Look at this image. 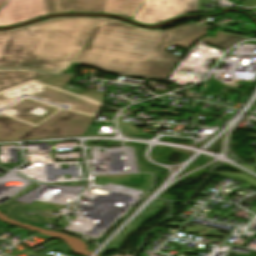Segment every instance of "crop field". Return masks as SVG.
I'll use <instances>...</instances> for the list:
<instances>
[{
    "label": "crop field",
    "instance_id": "crop-field-1",
    "mask_svg": "<svg viewBox=\"0 0 256 256\" xmlns=\"http://www.w3.org/2000/svg\"><path fill=\"white\" fill-rule=\"evenodd\" d=\"M210 29L189 23L168 31L112 18L62 17L0 31V69L63 74L72 62L107 73L165 80L180 56L168 45H190Z\"/></svg>",
    "mask_w": 256,
    "mask_h": 256
},
{
    "label": "crop field",
    "instance_id": "crop-field-2",
    "mask_svg": "<svg viewBox=\"0 0 256 256\" xmlns=\"http://www.w3.org/2000/svg\"><path fill=\"white\" fill-rule=\"evenodd\" d=\"M190 12H198L197 0H145L143 8L132 20L156 24Z\"/></svg>",
    "mask_w": 256,
    "mask_h": 256
},
{
    "label": "crop field",
    "instance_id": "crop-field-3",
    "mask_svg": "<svg viewBox=\"0 0 256 256\" xmlns=\"http://www.w3.org/2000/svg\"><path fill=\"white\" fill-rule=\"evenodd\" d=\"M45 14L46 0H6L0 10V26L16 24Z\"/></svg>",
    "mask_w": 256,
    "mask_h": 256
},
{
    "label": "crop field",
    "instance_id": "crop-field-4",
    "mask_svg": "<svg viewBox=\"0 0 256 256\" xmlns=\"http://www.w3.org/2000/svg\"><path fill=\"white\" fill-rule=\"evenodd\" d=\"M144 0H107L103 13L131 19L142 7Z\"/></svg>",
    "mask_w": 256,
    "mask_h": 256
},
{
    "label": "crop field",
    "instance_id": "crop-field-5",
    "mask_svg": "<svg viewBox=\"0 0 256 256\" xmlns=\"http://www.w3.org/2000/svg\"><path fill=\"white\" fill-rule=\"evenodd\" d=\"M44 74L29 70H0V89L23 83Z\"/></svg>",
    "mask_w": 256,
    "mask_h": 256
},
{
    "label": "crop field",
    "instance_id": "crop-field-6",
    "mask_svg": "<svg viewBox=\"0 0 256 256\" xmlns=\"http://www.w3.org/2000/svg\"><path fill=\"white\" fill-rule=\"evenodd\" d=\"M215 34H217V35L212 38L207 36L200 41L207 42L213 46L226 49L229 46L237 43L240 40H243L245 38H250L247 36L228 34V33L222 32V31H218Z\"/></svg>",
    "mask_w": 256,
    "mask_h": 256
},
{
    "label": "crop field",
    "instance_id": "crop-field-7",
    "mask_svg": "<svg viewBox=\"0 0 256 256\" xmlns=\"http://www.w3.org/2000/svg\"><path fill=\"white\" fill-rule=\"evenodd\" d=\"M106 0H70L71 12L101 13Z\"/></svg>",
    "mask_w": 256,
    "mask_h": 256
},
{
    "label": "crop field",
    "instance_id": "crop-field-8",
    "mask_svg": "<svg viewBox=\"0 0 256 256\" xmlns=\"http://www.w3.org/2000/svg\"><path fill=\"white\" fill-rule=\"evenodd\" d=\"M48 14L70 12L69 0H47Z\"/></svg>",
    "mask_w": 256,
    "mask_h": 256
},
{
    "label": "crop field",
    "instance_id": "crop-field-9",
    "mask_svg": "<svg viewBox=\"0 0 256 256\" xmlns=\"http://www.w3.org/2000/svg\"><path fill=\"white\" fill-rule=\"evenodd\" d=\"M242 6L245 7H254L256 6V0H244Z\"/></svg>",
    "mask_w": 256,
    "mask_h": 256
},
{
    "label": "crop field",
    "instance_id": "crop-field-10",
    "mask_svg": "<svg viewBox=\"0 0 256 256\" xmlns=\"http://www.w3.org/2000/svg\"><path fill=\"white\" fill-rule=\"evenodd\" d=\"M5 0H0V6L4 3Z\"/></svg>",
    "mask_w": 256,
    "mask_h": 256
},
{
    "label": "crop field",
    "instance_id": "crop-field-11",
    "mask_svg": "<svg viewBox=\"0 0 256 256\" xmlns=\"http://www.w3.org/2000/svg\"><path fill=\"white\" fill-rule=\"evenodd\" d=\"M179 46H183V45H179ZM185 47V49L188 47V46H184Z\"/></svg>",
    "mask_w": 256,
    "mask_h": 256
}]
</instances>
